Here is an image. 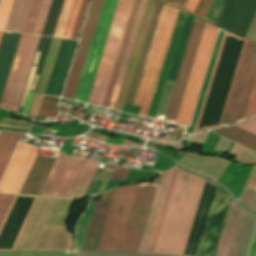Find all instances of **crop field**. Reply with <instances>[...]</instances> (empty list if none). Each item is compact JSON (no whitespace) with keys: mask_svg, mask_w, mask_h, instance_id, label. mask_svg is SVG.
<instances>
[{"mask_svg":"<svg viewBox=\"0 0 256 256\" xmlns=\"http://www.w3.org/2000/svg\"><path fill=\"white\" fill-rule=\"evenodd\" d=\"M205 22L194 19L169 106L166 121H175ZM219 28L205 24L176 123L189 125Z\"/></svg>","mask_w":256,"mask_h":256,"instance_id":"crop-field-1","label":"crop field"},{"mask_svg":"<svg viewBox=\"0 0 256 256\" xmlns=\"http://www.w3.org/2000/svg\"><path fill=\"white\" fill-rule=\"evenodd\" d=\"M117 1L118 0H104V3L103 0L92 1L88 18L82 32L84 33V35L81 36L80 43L69 75V79L62 97L71 99L74 98L78 81L85 62V58L92 39V35L99 16V12L103 3L100 16L97 22V26L93 35V39L90 45V49L83 68V72L76 91V95L74 98L77 101L85 103L87 102L88 95L92 86V82L96 73V69L100 60V56L104 47V43L107 37V33L111 24V20L115 11Z\"/></svg>","mask_w":256,"mask_h":256,"instance_id":"crop-field-2","label":"crop field"},{"mask_svg":"<svg viewBox=\"0 0 256 256\" xmlns=\"http://www.w3.org/2000/svg\"><path fill=\"white\" fill-rule=\"evenodd\" d=\"M205 181L178 170L153 253L183 255Z\"/></svg>","mask_w":256,"mask_h":256,"instance_id":"crop-field-3","label":"crop field"},{"mask_svg":"<svg viewBox=\"0 0 256 256\" xmlns=\"http://www.w3.org/2000/svg\"><path fill=\"white\" fill-rule=\"evenodd\" d=\"M178 11V9L163 5L133 104L141 106L139 113L141 116H147Z\"/></svg>","mask_w":256,"mask_h":256,"instance_id":"crop-field-4","label":"crop field"},{"mask_svg":"<svg viewBox=\"0 0 256 256\" xmlns=\"http://www.w3.org/2000/svg\"><path fill=\"white\" fill-rule=\"evenodd\" d=\"M133 2L134 0L118 1L106 45L87 102L89 104L102 105Z\"/></svg>","mask_w":256,"mask_h":256,"instance_id":"crop-field-5","label":"crop field"},{"mask_svg":"<svg viewBox=\"0 0 256 256\" xmlns=\"http://www.w3.org/2000/svg\"><path fill=\"white\" fill-rule=\"evenodd\" d=\"M256 80V43L246 42L222 125L243 120Z\"/></svg>","mask_w":256,"mask_h":256,"instance_id":"crop-field-6","label":"crop field"},{"mask_svg":"<svg viewBox=\"0 0 256 256\" xmlns=\"http://www.w3.org/2000/svg\"><path fill=\"white\" fill-rule=\"evenodd\" d=\"M138 185L117 188L97 251H118Z\"/></svg>","mask_w":256,"mask_h":256,"instance_id":"crop-field-7","label":"crop field"},{"mask_svg":"<svg viewBox=\"0 0 256 256\" xmlns=\"http://www.w3.org/2000/svg\"><path fill=\"white\" fill-rule=\"evenodd\" d=\"M178 168L161 174L137 252L152 253Z\"/></svg>","mask_w":256,"mask_h":256,"instance_id":"crop-field-8","label":"crop field"},{"mask_svg":"<svg viewBox=\"0 0 256 256\" xmlns=\"http://www.w3.org/2000/svg\"><path fill=\"white\" fill-rule=\"evenodd\" d=\"M146 3H147V0H141V4H140V0H135V2H134L133 8H132V11H131V14H130V18H129V21H128V24H127V27H126V31H125V34H124V37H123V40H122V44H121V47H120V50H119V53H118V56H117V60H116V63H115L114 69H113V73H112V76H111V79H110V82H109V86H108V89H107V92H106V95H105V99H104V102H103V105H102L104 107H108L109 100H110V97H111V94H112V91H113V88H114V84H115V81H116V78H117V75H118V71H119V68H120V65H121V62H122V58H123V55H124V52H125V49H126V46H127V42H128V39H129V36H130V33H131V29H132L134 20H135V16H136L139 4H140L139 10H138V13H137V16H136V20H135V23H134V26H133V29H132V33H131V36H130V39H129V42H128V46H127V49H126V52H125V55H124V58H123V62H122V65H121V68H120V71H119V75H118V78H117V81H116V84H115V88H114V91H113V94H112V97H111V100H110V104H109V107H108V108H111V109L114 108L116 98H117V95H118V92H119V89H120V86H121V83H122V79H123V76H124V73H125V70H126V67H127V64H128V60H129V57H130V54H131V51H132V48H133V44H134L138 29H139V25H140V22H141L143 13H144Z\"/></svg>","mask_w":256,"mask_h":256,"instance_id":"crop-field-9","label":"crop field"},{"mask_svg":"<svg viewBox=\"0 0 256 256\" xmlns=\"http://www.w3.org/2000/svg\"><path fill=\"white\" fill-rule=\"evenodd\" d=\"M156 186L157 185L148 183H143L138 186L119 251H137Z\"/></svg>","mask_w":256,"mask_h":256,"instance_id":"crop-field-10","label":"crop field"},{"mask_svg":"<svg viewBox=\"0 0 256 256\" xmlns=\"http://www.w3.org/2000/svg\"><path fill=\"white\" fill-rule=\"evenodd\" d=\"M84 162L59 154L39 195L68 197Z\"/></svg>","mask_w":256,"mask_h":256,"instance_id":"crop-field-11","label":"crop field"},{"mask_svg":"<svg viewBox=\"0 0 256 256\" xmlns=\"http://www.w3.org/2000/svg\"><path fill=\"white\" fill-rule=\"evenodd\" d=\"M38 148L19 142L0 183V192L18 194Z\"/></svg>","mask_w":256,"mask_h":256,"instance_id":"crop-field-12","label":"crop field"},{"mask_svg":"<svg viewBox=\"0 0 256 256\" xmlns=\"http://www.w3.org/2000/svg\"><path fill=\"white\" fill-rule=\"evenodd\" d=\"M247 214L231 199L214 256H234Z\"/></svg>","mask_w":256,"mask_h":256,"instance_id":"crop-field-13","label":"crop field"},{"mask_svg":"<svg viewBox=\"0 0 256 256\" xmlns=\"http://www.w3.org/2000/svg\"><path fill=\"white\" fill-rule=\"evenodd\" d=\"M156 1L148 0L146 10L141 22V26L135 41V45L129 60V64L123 79V83L117 98V102L114 109H117L119 111L123 110V106L126 100V96L130 87V83L134 74V70L138 61V57L142 48V44L146 35V31L150 22V18L154 9Z\"/></svg>","mask_w":256,"mask_h":256,"instance_id":"crop-field-14","label":"crop field"},{"mask_svg":"<svg viewBox=\"0 0 256 256\" xmlns=\"http://www.w3.org/2000/svg\"><path fill=\"white\" fill-rule=\"evenodd\" d=\"M81 0H64L53 36L69 38ZM88 0H82L70 38L77 39Z\"/></svg>","mask_w":256,"mask_h":256,"instance_id":"crop-field-15","label":"crop field"},{"mask_svg":"<svg viewBox=\"0 0 256 256\" xmlns=\"http://www.w3.org/2000/svg\"><path fill=\"white\" fill-rule=\"evenodd\" d=\"M115 190L103 194L100 202L96 203L82 250H97Z\"/></svg>","mask_w":256,"mask_h":256,"instance_id":"crop-field-16","label":"crop field"},{"mask_svg":"<svg viewBox=\"0 0 256 256\" xmlns=\"http://www.w3.org/2000/svg\"><path fill=\"white\" fill-rule=\"evenodd\" d=\"M185 13L179 11L178 18L175 24V28L171 37V41L167 50V54L164 60V64L160 73V77L156 86V90L153 96V100L149 109V113L147 117L154 118L156 114V110L159 104V100L163 91V87L166 81V77L170 68V64L174 55V51L177 45V41L181 32V28L184 22Z\"/></svg>","mask_w":256,"mask_h":256,"instance_id":"crop-field-17","label":"crop field"},{"mask_svg":"<svg viewBox=\"0 0 256 256\" xmlns=\"http://www.w3.org/2000/svg\"><path fill=\"white\" fill-rule=\"evenodd\" d=\"M54 160L38 154L20 194L38 195Z\"/></svg>","mask_w":256,"mask_h":256,"instance_id":"crop-field-18","label":"crop field"},{"mask_svg":"<svg viewBox=\"0 0 256 256\" xmlns=\"http://www.w3.org/2000/svg\"><path fill=\"white\" fill-rule=\"evenodd\" d=\"M31 35H26V34H22L20 41H19V45L13 60V64L8 76V80L2 95V99L0 102V107L5 108V109H9L10 106V102L13 96V92L16 86V82L19 76V72L23 63V59L26 53V49L29 43V39H30Z\"/></svg>","mask_w":256,"mask_h":256,"instance_id":"crop-field-19","label":"crop field"},{"mask_svg":"<svg viewBox=\"0 0 256 256\" xmlns=\"http://www.w3.org/2000/svg\"><path fill=\"white\" fill-rule=\"evenodd\" d=\"M162 5H163L162 3H158V2L156 3L155 10H154L151 22H150V26H149V29H148V32L146 35V39H145V42H144V45H143V48L141 51V55H140V58H139V61H138L137 67H136V71H135V74H134V77L132 80V84H131L125 104H129V105L133 104L134 97H135L137 87H138V84H139V81L141 78V74H142L144 64H145V61L147 58V54H148V51H149V48L151 45L154 31H155V28H156V25L158 22V18H159L160 12H161Z\"/></svg>","mask_w":256,"mask_h":256,"instance_id":"crop-field-20","label":"crop field"},{"mask_svg":"<svg viewBox=\"0 0 256 256\" xmlns=\"http://www.w3.org/2000/svg\"><path fill=\"white\" fill-rule=\"evenodd\" d=\"M21 34L3 33L0 42V99Z\"/></svg>","mask_w":256,"mask_h":256,"instance_id":"crop-field-21","label":"crop field"},{"mask_svg":"<svg viewBox=\"0 0 256 256\" xmlns=\"http://www.w3.org/2000/svg\"><path fill=\"white\" fill-rule=\"evenodd\" d=\"M226 0H185L183 6H182V10L190 13V14H193L201 19H204L210 5H211V2H212V5L206 15V19L212 21V22H216L220 12H221V9L224 5ZM204 19V20H206ZM206 20V21H208ZM208 21V22H210ZM210 22V23H212ZM212 23V24H214Z\"/></svg>","mask_w":256,"mask_h":256,"instance_id":"crop-field-22","label":"crop field"},{"mask_svg":"<svg viewBox=\"0 0 256 256\" xmlns=\"http://www.w3.org/2000/svg\"><path fill=\"white\" fill-rule=\"evenodd\" d=\"M61 40L62 39H59V38L52 39V42H51V45H50V48L48 51V55H47V58H46V61H45V64H44V67H43V70H42V73H41V76L39 79V83H38L35 93H41V94L45 93V90H46V87L48 84V80H49V77H50L56 56H57V52H58ZM40 96L41 95H38V94L34 95V99H33L32 106H31L29 116H28L31 119H33V117H34Z\"/></svg>","mask_w":256,"mask_h":256,"instance_id":"crop-field-23","label":"crop field"},{"mask_svg":"<svg viewBox=\"0 0 256 256\" xmlns=\"http://www.w3.org/2000/svg\"><path fill=\"white\" fill-rule=\"evenodd\" d=\"M39 38L40 37H38V36L32 35L31 39H30L27 53H26V56L24 59L21 73H20V76H19V79L17 82V86H16V89L14 92L11 106L9 109L10 111H13L15 113L17 112V109H18V105H19V102H20V99H21V96L23 93V89H24V86H25V83H26V80L28 77V73H29V70H30V67H31V64L33 61V57H34V54H35V51H36V48L38 45Z\"/></svg>","mask_w":256,"mask_h":256,"instance_id":"crop-field-24","label":"crop field"},{"mask_svg":"<svg viewBox=\"0 0 256 256\" xmlns=\"http://www.w3.org/2000/svg\"><path fill=\"white\" fill-rule=\"evenodd\" d=\"M212 132L256 151V136L236 126L218 129Z\"/></svg>","mask_w":256,"mask_h":256,"instance_id":"crop-field-25","label":"crop field"},{"mask_svg":"<svg viewBox=\"0 0 256 256\" xmlns=\"http://www.w3.org/2000/svg\"><path fill=\"white\" fill-rule=\"evenodd\" d=\"M24 135L0 134V179L19 139Z\"/></svg>","mask_w":256,"mask_h":256,"instance_id":"crop-field-26","label":"crop field"},{"mask_svg":"<svg viewBox=\"0 0 256 256\" xmlns=\"http://www.w3.org/2000/svg\"><path fill=\"white\" fill-rule=\"evenodd\" d=\"M99 164L86 161L73 191L87 188ZM72 191V192H73Z\"/></svg>","mask_w":256,"mask_h":256,"instance_id":"crop-field-27","label":"crop field"},{"mask_svg":"<svg viewBox=\"0 0 256 256\" xmlns=\"http://www.w3.org/2000/svg\"><path fill=\"white\" fill-rule=\"evenodd\" d=\"M42 0H32L22 33L32 34L41 7Z\"/></svg>","mask_w":256,"mask_h":256,"instance_id":"crop-field-28","label":"crop field"},{"mask_svg":"<svg viewBox=\"0 0 256 256\" xmlns=\"http://www.w3.org/2000/svg\"><path fill=\"white\" fill-rule=\"evenodd\" d=\"M57 98L43 96L36 117H55Z\"/></svg>","mask_w":256,"mask_h":256,"instance_id":"crop-field-29","label":"crop field"},{"mask_svg":"<svg viewBox=\"0 0 256 256\" xmlns=\"http://www.w3.org/2000/svg\"><path fill=\"white\" fill-rule=\"evenodd\" d=\"M39 55L40 54L36 55V58H35V61H34V64H33V68H32V71H31V74H30V77H29V80H28V83H27V86H26V89H25V93H24L21 105L23 104L24 97H25L27 89L30 88L31 81H32V78H33V75H34V71H35V68H36V65H37V62H38ZM38 77L39 76L35 77L34 84H33L32 90H31L33 92L35 91V87H36V84H37V81H38ZM33 94L34 93H32V92L28 93V97H27L26 104H25V107H24V110H23V114H22L25 117L27 116V113H28V110H29V107H30V103H31V100H32V97H33Z\"/></svg>","mask_w":256,"mask_h":256,"instance_id":"crop-field-30","label":"crop field"},{"mask_svg":"<svg viewBox=\"0 0 256 256\" xmlns=\"http://www.w3.org/2000/svg\"><path fill=\"white\" fill-rule=\"evenodd\" d=\"M226 34H227V32L225 33V36H226ZM229 34H230V33H229ZM229 34H228V35H229ZM231 35H232V34H231ZM225 36H224V39H225ZM233 36H235V35H233ZM235 37H237V36H235ZM237 38H239V37H237ZM239 39H242V38H239ZM242 40H245V39H242ZM245 41H246V40H245ZM223 43H224V40H223ZM223 43H222V46H223ZM244 45H245V43H244ZM244 45H243V48H244ZM222 46H221V49H222ZM243 48H242L241 53H240V56H239V60H238L237 66H236V70H235V73H234V76H233V80H232V83H231V86H230V90H229V93H228V96H227V100H226V103H225V106H224V110H223V113H222V116H221V120H220L219 125L197 130L198 125H199V122H200V118H201V115H202V112H203V109H204V106H205V102H206V99H207V96H208V93H209V90H210V86H211V83H212V80H213V77H214V73H215V70H216V67H217V63H218V60H219V56H220V53H221V49H220V53H219V56H218V59H217V62H216V66H215V69H214V72H213V75H212V79H211V82H210V85H209V89H208V92H207V95H206V98H205V102H204V105H203V108H202V111H201V115H200V118H199V121H198V124H197V128H196L195 133L198 132V131H201V130H205V129H209V128H214V127H218V126L221 125V121H222V118H223V115H224V111H225V108H226V105H227V101H228V98H229V95H230V91H231V88H232V85H233V81H234V78H235V75H236V71H237V68H238V65H239V61H240V58H241V55H242Z\"/></svg>","mask_w":256,"mask_h":256,"instance_id":"crop-field-31","label":"crop field"},{"mask_svg":"<svg viewBox=\"0 0 256 256\" xmlns=\"http://www.w3.org/2000/svg\"><path fill=\"white\" fill-rule=\"evenodd\" d=\"M52 0H43L42 7L38 16V20L35 26V30L33 34L41 35L43 31V27L46 21V17L50 8Z\"/></svg>","mask_w":256,"mask_h":256,"instance_id":"crop-field-32","label":"crop field"},{"mask_svg":"<svg viewBox=\"0 0 256 256\" xmlns=\"http://www.w3.org/2000/svg\"><path fill=\"white\" fill-rule=\"evenodd\" d=\"M12 0H0V30L4 29Z\"/></svg>","mask_w":256,"mask_h":256,"instance_id":"crop-field-33","label":"crop field"},{"mask_svg":"<svg viewBox=\"0 0 256 256\" xmlns=\"http://www.w3.org/2000/svg\"><path fill=\"white\" fill-rule=\"evenodd\" d=\"M1 121L3 122H10V123H14V124H6V123H0L2 125H13V126H24V127H30V123L22 120V121H17V120H13V119H9L4 117ZM0 125V127H12V128H23V129H28V128H24V127H13V126H2ZM0 129H6V130H15V131H23V132H27L28 130H23V129H11V128H0Z\"/></svg>","mask_w":256,"mask_h":256,"instance_id":"crop-field-34","label":"crop field"},{"mask_svg":"<svg viewBox=\"0 0 256 256\" xmlns=\"http://www.w3.org/2000/svg\"><path fill=\"white\" fill-rule=\"evenodd\" d=\"M14 195L0 194V224Z\"/></svg>","mask_w":256,"mask_h":256,"instance_id":"crop-field-35","label":"crop field"},{"mask_svg":"<svg viewBox=\"0 0 256 256\" xmlns=\"http://www.w3.org/2000/svg\"><path fill=\"white\" fill-rule=\"evenodd\" d=\"M236 126L256 135V116Z\"/></svg>","mask_w":256,"mask_h":256,"instance_id":"crop-field-36","label":"crop field"},{"mask_svg":"<svg viewBox=\"0 0 256 256\" xmlns=\"http://www.w3.org/2000/svg\"><path fill=\"white\" fill-rule=\"evenodd\" d=\"M253 114H256V83H255L253 93H252V96H251V99H250V102H249V105L247 108L245 118H247Z\"/></svg>","mask_w":256,"mask_h":256,"instance_id":"crop-field-37","label":"crop field"},{"mask_svg":"<svg viewBox=\"0 0 256 256\" xmlns=\"http://www.w3.org/2000/svg\"><path fill=\"white\" fill-rule=\"evenodd\" d=\"M130 170L115 167L109 180L126 179Z\"/></svg>","mask_w":256,"mask_h":256,"instance_id":"crop-field-38","label":"crop field"},{"mask_svg":"<svg viewBox=\"0 0 256 256\" xmlns=\"http://www.w3.org/2000/svg\"><path fill=\"white\" fill-rule=\"evenodd\" d=\"M245 38L256 41V13H255L253 20L245 34Z\"/></svg>","mask_w":256,"mask_h":256,"instance_id":"crop-field-39","label":"crop field"},{"mask_svg":"<svg viewBox=\"0 0 256 256\" xmlns=\"http://www.w3.org/2000/svg\"><path fill=\"white\" fill-rule=\"evenodd\" d=\"M160 1H163V2L171 4V5H174L178 8H181V6L184 2V0H160Z\"/></svg>","mask_w":256,"mask_h":256,"instance_id":"crop-field-40","label":"crop field"},{"mask_svg":"<svg viewBox=\"0 0 256 256\" xmlns=\"http://www.w3.org/2000/svg\"><path fill=\"white\" fill-rule=\"evenodd\" d=\"M248 256H256V232Z\"/></svg>","mask_w":256,"mask_h":256,"instance_id":"crop-field-41","label":"crop field"},{"mask_svg":"<svg viewBox=\"0 0 256 256\" xmlns=\"http://www.w3.org/2000/svg\"><path fill=\"white\" fill-rule=\"evenodd\" d=\"M248 190L256 192V174L254 175V177L248 187Z\"/></svg>","mask_w":256,"mask_h":256,"instance_id":"crop-field-42","label":"crop field"},{"mask_svg":"<svg viewBox=\"0 0 256 256\" xmlns=\"http://www.w3.org/2000/svg\"><path fill=\"white\" fill-rule=\"evenodd\" d=\"M183 128H184V126H180V125L177 126V130H176V141L179 140V139H181L182 132H183Z\"/></svg>","mask_w":256,"mask_h":256,"instance_id":"crop-field-43","label":"crop field"},{"mask_svg":"<svg viewBox=\"0 0 256 256\" xmlns=\"http://www.w3.org/2000/svg\"><path fill=\"white\" fill-rule=\"evenodd\" d=\"M108 167H109V165H105V166H104L103 171H102V173H101V176H100L99 180H102V179H103V177H104V175H105V173H106ZM99 180H98V181H99Z\"/></svg>","mask_w":256,"mask_h":256,"instance_id":"crop-field-44","label":"crop field"},{"mask_svg":"<svg viewBox=\"0 0 256 256\" xmlns=\"http://www.w3.org/2000/svg\"><path fill=\"white\" fill-rule=\"evenodd\" d=\"M206 182L210 183L209 181H206ZM210 184H212V183H210ZM212 185H214V184H212ZM215 186H216V185H215ZM192 243H193V242H192ZM189 255H190V253H189ZM189 255H188V256H189Z\"/></svg>","mask_w":256,"mask_h":256,"instance_id":"crop-field-45","label":"crop field"},{"mask_svg":"<svg viewBox=\"0 0 256 256\" xmlns=\"http://www.w3.org/2000/svg\"><path fill=\"white\" fill-rule=\"evenodd\" d=\"M2 33H3V32H0V39H1Z\"/></svg>","mask_w":256,"mask_h":256,"instance_id":"crop-field-46","label":"crop field"},{"mask_svg":"<svg viewBox=\"0 0 256 256\" xmlns=\"http://www.w3.org/2000/svg\"><path fill=\"white\" fill-rule=\"evenodd\" d=\"M218 186V185H217ZM222 190V189H221ZM223 191V190H222ZM224 192V191H223ZM225 193V192H224ZM227 194V193H226ZM228 195V194H227ZM229 196V195H228ZM230 197V196H229ZM231 198V197H230Z\"/></svg>","mask_w":256,"mask_h":256,"instance_id":"crop-field-47","label":"crop field"}]
</instances>
